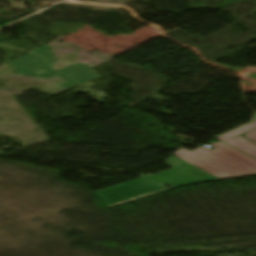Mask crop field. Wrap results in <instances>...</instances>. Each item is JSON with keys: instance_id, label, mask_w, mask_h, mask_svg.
Returning a JSON list of instances; mask_svg holds the SVG:
<instances>
[{"instance_id": "crop-field-4", "label": "crop field", "mask_w": 256, "mask_h": 256, "mask_svg": "<svg viewBox=\"0 0 256 256\" xmlns=\"http://www.w3.org/2000/svg\"><path fill=\"white\" fill-rule=\"evenodd\" d=\"M256 119V118H255ZM256 129V120L255 122L249 124V125H246L244 127H241L239 129H236L232 132H229L227 134H224V135H221L219 137H216L230 145H232L233 147L253 156L256 158V145H254L253 143L247 141L246 139L238 136L236 138H233V139H230L236 135H239L245 131H248L250 129ZM247 135L245 137L249 138V139H252L254 141H256V130L254 131H251L249 133H246Z\"/></svg>"}, {"instance_id": "crop-field-7", "label": "crop field", "mask_w": 256, "mask_h": 256, "mask_svg": "<svg viewBox=\"0 0 256 256\" xmlns=\"http://www.w3.org/2000/svg\"><path fill=\"white\" fill-rule=\"evenodd\" d=\"M56 75H58V76H60V77H62V78L67 80V82H63V83L59 84L62 88H67V87L79 84V83H77V82H75V81H73V80H71V79L61 75L60 73L53 71V70L45 72V73L40 74V75H37L35 77L46 79V78L53 77V76H56Z\"/></svg>"}, {"instance_id": "crop-field-3", "label": "crop field", "mask_w": 256, "mask_h": 256, "mask_svg": "<svg viewBox=\"0 0 256 256\" xmlns=\"http://www.w3.org/2000/svg\"><path fill=\"white\" fill-rule=\"evenodd\" d=\"M162 190L164 189L143 178H140L97 190L95 192L105 206L109 208Z\"/></svg>"}, {"instance_id": "crop-field-2", "label": "crop field", "mask_w": 256, "mask_h": 256, "mask_svg": "<svg viewBox=\"0 0 256 256\" xmlns=\"http://www.w3.org/2000/svg\"><path fill=\"white\" fill-rule=\"evenodd\" d=\"M170 160L179 165L178 166L173 165L172 163L169 162ZM165 162L172 168L167 171L157 173L151 176H147L143 174L139 176L145 179H148L165 189H168V187L162 185L164 183L173 187H177V186H182V185L191 184L195 182L217 179L211 175H208L202 172V170L180 160L179 158L173 155L170 158L166 159Z\"/></svg>"}, {"instance_id": "crop-field-5", "label": "crop field", "mask_w": 256, "mask_h": 256, "mask_svg": "<svg viewBox=\"0 0 256 256\" xmlns=\"http://www.w3.org/2000/svg\"><path fill=\"white\" fill-rule=\"evenodd\" d=\"M10 64L19 74L24 75H30L40 69H52L45 64L42 58L30 54H26Z\"/></svg>"}, {"instance_id": "crop-field-1", "label": "crop field", "mask_w": 256, "mask_h": 256, "mask_svg": "<svg viewBox=\"0 0 256 256\" xmlns=\"http://www.w3.org/2000/svg\"><path fill=\"white\" fill-rule=\"evenodd\" d=\"M209 145L216 147V149L218 148L219 151H216V149L212 151L201 147L196 151L189 152L181 148L173 154L221 179L256 174L255 160L221 142ZM177 152L185 157L176 154Z\"/></svg>"}, {"instance_id": "crop-field-8", "label": "crop field", "mask_w": 256, "mask_h": 256, "mask_svg": "<svg viewBox=\"0 0 256 256\" xmlns=\"http://www.w3.org/2000/svg\"><path fill=\"white\" fill-rule=\"evenodd\" d=\"M31 53H35V54H39V55L43 56L52 66L55 63L48 45H44V46L32 51Z\"/></svg>"}, {"instance_id": "crop-field-6", "label": "crop field", "mask_w": 256, "mask_h": 256, "mask_svg": "<svg viewBox=\"0 0 256 256\" xmlns=\"http://www.w3.org/2000/svg\"><path fill=\"white\" fill-rule=\"evenodd\" d=\"M58 71L80 83L98 78L97 74L90 68V66L81 63H77Z\"/></svg>"}]
</instances>
